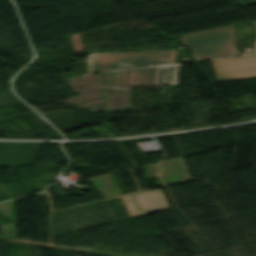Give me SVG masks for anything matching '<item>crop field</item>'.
I'll list each match as a JSON object with an SVG mask.
<instances>
[{"instance_id": "5", "label": "crop field", "mask_w": 256, "mask_h": 256, "mask_svg": "<svg viewBox=\"0 0 256 256\" xmlns=\"http://www.w3.org/2000/svg\"><path fill=\"white\" fill-rule=\"evenodd\" d=\"M255 24H256V22H255ZM254 47H255V50H256V40H255V42H254Z\"/></svg>"}, {"instance_id": "3", "label": "crop field", "mask_w": 256, "mask_h": 256, "mask_svg": "<svg viewBox=\"0 0 256 256\" xmlns=\"http://www.w3.org/2000/svg\"><path fill=\"white\" fill-rule=\"evenodd\" d=\"M218 79L256 75V56L212 61Z\"/></svg>"}, {"instance_id": "1", "label": "crop field", "mask_w": 256, "mask_h": 256, "mask_svg": "<svg viewBox=\"0 0 256 256\" xmlns=\"http://www.w3.org/2000/svg\"><path fill=\"white\" fill-rule=\"evenodd\" d=\"M175 50L108 54L91 58L92 72H100L102 88L175 83Z\"/></svg>"}, {"instance_id": "4", "label": "crop field", "mask_w": 256, "mask_h": 256, "mask_svg": "<svg viewBox=\"0 0 256 256\" xmlns=\"http://www.w3.org/2000/svg\"><path fill=\"white\" fill-rule=\"evenodd\" d=\"M234 1L240 6L256 3V0H234Z\"/></svg>"}, {"instance_id": "2", "label": "crop field", "mask_w": 256, "mask_h": 256, "mask_svg": "<svg viewBox=\"0 0 256 256\" xmlns=\"http://www.w3.org/2000/svg\"><path fill=\"white\" fill-rule=\"evenodd\" d=\"M195 60L238 55L231 26L182 35Z\"/></svg>"}]
</instances>
